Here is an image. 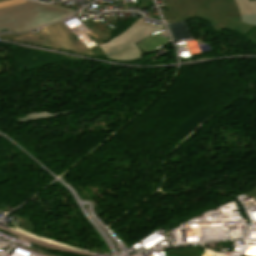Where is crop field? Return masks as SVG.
<instances>
[{
  "mask_svg": "<svg viewBox=\"0 0 256 256\" xmlns=\"http://www.w3.org/2000/svg\"><path fill=\"white\" fill-rule=\"evenodd\" d=\"M24 1H26V0H12V1H8V2L0 3V8L9 6V5H13V4H17V3H21Z\"/></svg>",
  "mask_w": 256,
  "mask_h": 256,
  "instance_id": "9",
  "label": "crop field"
},
{
  "mask_svg": "<svg viewBox=\"0 0 256 256\" xmlns=\"http://www.w3.org/2000/svg\"><path fill=\"white\" fill-rule=\"evenodd\" d=\"M14 39L60 49L45 28H43V30L37 35L27 34Z\"/></svg>",
  "mask_w": 256,
  "mask_h": 256,
  "instance_id": "5",
  "label": "crop field"
},
{
  "mask_svg": "<svg viewBox=\"0 0 256 256\" xmlns=\"http://www.w3.org/2000/svg\"><path fill=\"white\" fill-rule=\"evenodd\" d=\"M45 28L58 43L61 49L69 50L80 54L91 55L90 53L77 51L72 43L69 41V39L66 37V35L63 33V31L60 29V27L57 25V23Z\"/></svg>",
  "mask_w": 256,
  "mask_h": 256,
  "instance_id": "4",
  "label": "crop field"
},
{
  "mask_svg": "<svg viewBox=\"0 0 256 256\" xmlns=\"http://www.w3.org/2000/svg\"><path fill=\"white\" fill-rule=\"evenodd\" d=\"M74 11L35 2H24L0 9V31L24 32L64 18Z\"/></svg>",
  "mask_w": 256,
  "mask_h": 256,
  "instance_id": "2",
  "label": "crop field"
},
{
  "mask_svg": "<svg viewBox=\"0 0 256 256\" xmlns=\"http://www.w3.org/2000/svg\"><path fill=\"white\" fill-rule=\"evenodd\" d=\"M4 1H8V0H0V2H4Z\"/></svg>",
  "mask_w": 256,
  "mask_h": 256,
  "instance_id": "11",
  "label": "crop field"
},
{
  "mask_svg": "<svg viewBox=\"0 0 256 256\" xmlns=\"http://www.w3.org/2000/svg\"><path fill=\"white\" fill-rule=\"evenodd\" d=\"M162 25L157 28L155 26L143 24V19H138L121 35L100 45L101 49L108 56L105 59L117 61H132L141 59L142 54L138 47H136L135 43L157 32L158 30L163 29Z\"/></svg>",
  "mask_w": 256,
  "mask_h": 256,
  "instance_id": "3",
  "label": "crop field"
},
{
  "mask_svg": "<svg viewBox=\"0 0 256 256\" xmlns=\"http://www.w3.org/2000/svg\"><path fill=\"white\" fill-rule=\"evenodd\" d=\"M59 26L62 28L64 33L67 35V37L70 39V41L73 43V45L76 47L77 50L85 51L87 50L79 41L74 37L72 33H70L61 22H58Z\"/></svg>",
  "mask_w": 256,
  "mask_h": 256,
  "instance_id": "7",
  "label": "crop field"
},
{
  "mask_svg": "<svg viewBox=\"0 0 256 256\" xmlns=\"http://www.w3.org/2000/svg\"><path fill=\"white\" fill-rule=\"evenodd\" d=\"M241 15L256 14V1L234 0Z\"/></svg>",
  "mask_w": 256,
  "mask_h": 256,
  "instance_id": "6",
  "label": "crop field"
},
{
  "mask_svg": "<svg viewBox=\"0 0 256 256\" xmlns=\"http://www.w3.org/2000/svg\"><path fill=\"white\" fill-rule=\"evenodd\" d=\"M247 195H248V197H250L252 195H254L256 197V186H254V188L250 192H248Z\"/></svg>",
  "mask_w": 256,
  "mask_h": 256,
  "instance_id": "10",
  "label": "crop field"
},
{
  "mask_svg": "<svg viewBox=\"0 0 256 256\" xmlns=\"http://www.w3.org/2000/svg\"><path fill=\"white\" fill-rule=\"evenodd\" d=\"M241 21L256 26V15L241 16Z\"/></svg>",
  "mask_w": 256,
  "mask_h": 256,
  "instance_id": "8",
  "label": "crop field"
},
{
  "mask_svg": "<svg viewBox=\"0 0 256 256\" xmlns=\"http://www.w3.org/2000/svg\"><path fill=\"white\" fill-rule=\"evenodd\" d=\"M167 11L161 12L166 22L188 20L198 17L206 19L215 32L225 27L243 36L253 26L241 23L240 14L233 0H162Z\"/></svg>",
  "mask_w": 256,
  "mask_h": 256,
  "instance_id": "1",
  "label": "crop field"
}]
</instances>
